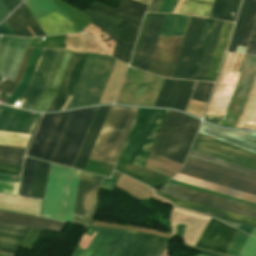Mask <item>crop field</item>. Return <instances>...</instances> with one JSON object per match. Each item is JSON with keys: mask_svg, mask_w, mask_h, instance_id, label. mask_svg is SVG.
Returning a JSON list of instances; mask_svg holds the SVG:
<instances>
[{"mask_svg": "<svg viewBox=\"0 0 256 256\" xmlns=\"http://www.w3.org/2000/svg\"><path fill=\"white\" fill-rule=\"evenodd\" d=\"M239 4L240 0H215L210 17L234 21Z\"/></svg>", "mask_w": 256, "mask_h": 256, "instance_id": "40", "label": "crop field"}, {"mask_svg": "<svg viewBox=\"0 0 256 256\" xmlns=\"http://www.w3.org/2000/svg\"><path fill=\"white\" fill-rule=\"evenodd\" d=\"M116 183V181L113 180H109V179H104L103 183H102V188H106L111 190L112 186Z\"/></svg>", "mask_w": 256, "mask_h": 256, "instance_id": "54", "label": "crop field"}, {"mask_svg": "<svg viewBox=\"0 0 256 256\" xmlns=\"http://www.w3.org/2000/svg\"><path fill=\"white\" fill-rule=\"evenodd\" d=\"M30 228L0 223V254L14 256Z\"/></svg>", "mask_w": 256, "mask_h": 256, "instance_id": "30", "label": "crop field"}, {"mask_svg": "<svg viewBox=\"0 0 256 256\" xmlns=\"http://www.w3.org/2000/svg\"><path fill=\"white\" fill-rule=\"evenodd\" d=\"M205 20L202 18H190L172 78H188Z\"/></svg>", "mask_w": 256, "mask_h": 256, "instance_id": "19", "label": "crop field"}, {"mask_svg": "<svg viewBox=\"0 0 256 256\" xmlns=\"http://www.w3.org/2000/svg\"><path fill=\"white\" fill-rule=\"evenodd\" d=\"M39 115L31 112L0 108V131L31 134Z\"/></svg>", "mask_w": 256, "mask_h": 256, "instance_id": "24", "label": "crop field"}, {"mask_svg": "<svg viewBox=\"0 0 256 256\" xmlns=\"http://www.w3.org/2000/svg\"><path fill=\"white\" fill-rule=\"evenodd\" d=\"M4 176H6V175H0V180H6V181H14V182H18V179H19V177H18V179H17V180L4 179ZM14 177H15V176H14Z\"/></svg>", "mask_w": 256, "mask_h": 256, "instance_id": "58", "label": "crop field"}, {"mask_svg": "<svg viewBox=\"0 0 256 256\" xmlns=\"http://www.w3.org/2000/svg\"><path fill=\"white\" fill-rule=\"evenodd\" d=\"M138 1H141L143 3H146V4H149L150 0H138Z\"/></svg>", "mask_w": 256, "mask_h": 256, "instance_id": "60", "label": "crop field"}, {"mask_svg": "<svg viewBox=\"0 0 256 256\" xmlns=\"http://www.w3.org/2000/svg\"><path fill=\"white\" fill-rule=\"evenodd\" d=\"M188 18L181 15H166L160 34L183 35Z\"/></svg>", "mask_w": 256, "mask_h": 256, "instance_id": "42", "label": "crop field"}, {"mask_svg": "<svg viewBox=\"0 0 256 256\" xmlns=\"http://www.w3.org/2000/svg\"><path fill=\"white\" fill-rule=\"evenodd\" d=\"M188 157L256 179V172L254 171L248 170L246 168H243V167H240V166L192 151V150L190 151V154Z\"/></svg>", "mask_w": 256, "mask_h": 256, "instance_id": "39", "label": "crop field"}, {"mask_svg": "<svg viewBox=\"0 0 256 256\" xmlns=\"http://www.w3.org/2000/svg\"><path fill=\"white\" fill-rule=\"evenodd\" d=\"M156 193L159 196L170 200L172 203H174V204H176L180 207L186 208V209H190V210H193V211H196V212H200V213H203V214H206V215H210V216H214V217H218V218H222V219H226V220H231V221H235V222H239V223H244V224L256 226V219L255 218H251V217L231 213V212H228V211H224V210L204 206V205H201V204H197V203H193V202L173 198V197H170V196H168L166 194H163L159 191H156Z\"/></svg>", "mask_w": 256, "mask_h": 256, "instance_id": "28", "label": "crop field"}, {"mask_svg": "<svg viewBox=\"0 0 256 256\" xmlns=\"http://www.w3.org/2000/svg\"><path fill=\"white\" fill-rule=\"evenodd\" d=\"M246 53L256 54V23Z\"/></svg>", "mask_w": 256, "mask_h": 256, "instance_id": "50", "label": "crop field"}, {"mask_svg": "<svg viewBox=\"0 0 256 256\" xmlns=\"http://www.w3.org/2000/svg\"><path fill=\"white\" fill-rule=\"evenodd\" d=\"M25 149L15 147L0 146V163L9 165H22V154ZM0 173L10 175H20L21 167L1 165Z\"/></svg>", "mask_w": 256, "mask_h": 256, "instance_id": "33", "label": "crop field"}, {"mask_svg": "<svg viewBox=\"0 0 256 256\" xmlns=\"http://www.w3.org/2000/svg\"><path fill=\"white\" fill-rule=\"evenodd\" d=\"M213 86V83L197 82L191 98L206 102Z\"/></svg>", "mask_w": 256, "mask_h": 256, "instance_id": "46", "label": "crop field"}, {"mask_svg": "<svg viewBox=\"0 0 256 256\" xmlns=\"http://www.w3.org/2000/svg\"><path fill=\"white\" fill-rule=\"evenodd\" d=\"M114 59L89 53L76 90L65 109L98 104Z\"/></svg>", "mask_w": 256, "mask_h": 256, "instance_id": "7", "label": "crop field"}, {"mask_svg": "<svg viewBox=\"0 0 256 256\" xmlns=\"http://www.w3.org/2000/svg\"><path fill=\"white\" fill-rule=\"evenodd\" d=\"M240 256H256V239L249 237Z\"/></svg>", "mask_w": 256, "mask_h": 256, "instance_id": "48", "label": "crop field"}, {"mask_svg": "<svg viewBox=\"0 0 256 256\" xmlns=\"http://www.w3.org/2000/svg\"><path fill=\"white\" fill-rule=\"evenodd\" d=\"M239 229L249 234L250 231H251V229H252V227H251V226H247V225L241 224V226H240Z\"/></svg>", "mask_w": 256, "mask_h": 256, "instance_id": "57", "label": "crop field"}, {"mask_svg": "<svg viewBox=\"0 0 256 256\" xmlns=\"http://www.w3.org/2000/svg\"><path fill=\"white\" fill-rule=\"evenodd\" d=\"M9 12L20 2L19 0H2Z\"/></svg>", "mask_w": 256, "mask_h": 256, "instance_id": "53", "label": "crop field"}, {"mask_svg": "<svg viewBox=\"0 0 256 256\" xmlns=\"http://www.w3.org/2000/svg\"><path fill=\"white\" fill-rule=\"evenodd\" d=\"M198 136V135H197ZM197 138V137H196ZM196 140V139H195ZM193 150L256 171V155L199 134Z\"/></svg>", "mask_w": 256, "mask_h": 256, "instance_id": "15", "label": "crop field"}, {"mask_svg": "<svg viewBox=\"0 0 256 256\" xmlns=\"http://www.w3.org/2000/svg\"><path fill=\"white\" fill-rule=\"evenodd\" d=\"M163 79L130 67L116 103L153 106Z\"/></svg>", "mask_w": 256, "mask_h": 256, "instance_id": "10", "label": "crop field"}, {"mask_svg": "<svg viewBox=\"0 0 256 256\" xmlns=\"http://www.w3.org/2000/svg\"><path fill=\"white\" fill-rule=\"evenodd\" d=\"M233 24L223 23L206 81L215 82Z\"/></svg>", "mask_w": 256, "mask_h": 256, "instance_id": "34", "label": "crop field"}, {"mask_svg": "<svg viewBox=\"0 0 256 256\" xmlns=\"http://www.w3.org/2000/svg\"><path fill=\"white\" fill-rule=\"evenodd\" d=\"M163 187L168 188V189L173 190V191H176V192L186 194V195H190V196H194V197H198V198H202V199H206V200H210V201H214V202H218V203H222V204H226V205H230V206L238 207V208H241V209L256 212V207H254V206L246 205V204H243V203H239V202L232 201V200H229V199H225V198H222V197L214 196V195L207 194V193H204V192H200V191H197V190H193V189H190V188L182 187V186L175 185V184H172V183L166 182ZM163 187L160 188L159 191H161L163 193H166L170 196L185 199V200H189V201H193V202H197V203H201V204H204V205H208V206H212V207H216V208H220V209H224V210H228V211H232V212H235V213H239V214H243V215H247V216H251V217L256 218V213L241 210V209H237V208H234V207H230V206H226V205H222V204H218V203H214V202H210V201H206V200H202V199H198V198H194V197H190V196H186V195H183V194H180V193H176V192L167 190Z\"/></svg>", "mask_w": 256, "mask_h": 256, "instance_id": "16", "label": "crop field"}, {"mask_svg": "<svg viewBox=\"0 0 256 256\" xmlns=\"http://www.w3.org/2000/svg\"><path fill=\"white\" fill-rule=\"evenodd\" d=\"M178 0H164L158 12L172 13Z\"/></svg>", "mask_w": 256, "mask_h": 256, "instance_id": "49", "label": "crop field"}, {"mask_svg": "<svg viewBox=\"0 0 256 256\" xmlns=\"http://www.w3.org/2000/svg\"><path fill=\"white\" fill-rule=\"evenodd\" d=\"M213 0H184L178 13L208 17Z\"/></svg>", "mask_w": 256, "mask_h": 256, "instance_id": "41", "label": "crop field"}, {"mask_svg": "<svg viewBox=\"0 0 256 256\" xmlns=\"http://www.w3.org/2000/svg\"><path fill=\"white\" fill-rule=\"evenodd\" d=\"M71 112L43 114L26 155L51 161Z\"/></svg>", "mask_w": 256, "mask_h": 256, "instance_id": "9", "label": "crop field"}, {"mask_svg": "<svg viewBox=\"0 0 256 256\" xmlns=\"http://www.w3.org/2000/svg\"><path fill=\"white\" fill-rule=\"evenodd\" d=\"M61 49L43 48L31 77L30 83L21 96L27 100L22 107L31 109L45 90Z\"/></svg>", "mask_w": 256, "mask_h": 256, "instance_id": "14", "label": "crop field"}, {"mask_svg": "<svg viewBox=\"0 0 256 256\" xmlns=\"http://www.w3.org/2000/svg\"><path fill=\"white\" fill-rule=\"evenodd\" d=\"M109 107L110 106H101L97 108L78 157L73 166L74 168L82 170L84 169Z\"/></svg>", "mask_w": 256, "mask_h": 256, "instance_id": "29", "label": "crop field"}, {"mask_svg": "<svg viewBox=\"0 0 256 256\" xmlns=\"http://www.w3.org/2000/svg\"><path fill=\"white\" fill-rule=\"evenodd\" d=\"M165 15H151L135 68L148 70Z\"/></svg>", "mask_w": 256, "mask_h": 256, "instance_id": "26", "label": "crop field"}, {"mask_svg": "<svg viewBox=\"0 0 256 256\" xmlns=\"http://www.w3.org/2000/svg\"><path fill=\"white\" fill-rule=\"evenodd\" d=\"M32 49L33 48H30V47L26 48L24 56L22 58V61L20 63V66L18 68V71H17V74L15 76V79H14L13 83H11V82H9L7 80L1 82L0 83V91H4V92L12 94V92L17 87V85H18V83L20 81V78H21L22 73L24 71V68H25V66L27 64V61L29 59V56L31 54Z\"/></svg>", "mask_w": 256, "mask_h": 256, "instance_id": "45", "label": "crop field"}, {"mask_svg": "<svg viewBox=\"0 0 256 256\" xmlns=\"http://www.w3.org/2000/svg\"><path fill=\"white\" fill-rule=\"evenodd\" d=\"M223 22L216 21L197 80L204 81Z\"/></svg>", "mask_w": 256, "mask_h": 256, "instance_id": "44", "label": "crop field"}, {"mask_svg": "<svg viewBox=\"0 0 256 256\" xmlns=\"http://www.w3.org/2000/svg\"><path fill=\"white\" fill-rule=\"evenodd\" d=\"M149 16L150 15H148V14L146 15L145 22H144V25H143V28H142V31H141V35H140V38H139V41H138V44H137V48H136L131 66H134V63H135V60H136V57H137V53H138V50H139V47H140V44H141V41H142V38H143V35H144V32H145V29H146V25H147Z\"/></svg>", "mask_w": 256, "mask_h": 256, "instance_id": "51", "label": "crop field"}, {"mask_svg": "<svg viewBox=\"0 0 256 256\" xmlns=\"http://www.w3.org/2000/svg\"><path fill=\"white\" fill-rule=\"evenodd\" d=\"M256 67V56H244L238 81L224 116L222 126L234 127L249 89L254 70Z\"/></svg>", "mask_w": 256, "mask_h": 256, "instance_id": "17", "label": "crop field"}, {"mask_svg": "<svg viewBox=\"0 0 256 256\" xmlns=\"http://www.w3.org/2000/svg\"><path fill=\"white\" fill-rule=\"evenodd\" d=\"M231 55L230 53L227 54L217 87L206 114L223 115L225 112L238 77V73L227 71ZM222 117L206 115L204 119L220 125Z\"/></svg>", "mask_w": 256, "mask_h": 256, "instance_id": "18", "label": "crop field"}, {"mask_svg": "<svg viewBox=\"0 0 256 256\" xmlns=\"http://www.w3.org/2000/svg\"><path fill=\"white\" fill-rule=\"evenodd\" d=\"M0 222L61 232L63 223L21 214L0 212Z\"/></svg>", "mask_w": 256, "mask_h": 256, "instance_id": "31", "label": "crop field"}, {"mask_svg": "<svg viewBox=\"0 0 256 256\" xmlns=\"http://www.w3.org/2000/svg\"><path fill=\"white\" fill-rule=\"evenodd\" d=\"M163 0H155L153 5L151 6L149 12H157Z\"/></svg>", "mask_w": 256, "mask_h": 256, "instance_id": "56", "label": "crop field"}, {"mask_svg": "<svg viewBox=\"0 0 256 256\" xmlns=\"http://www.w3.org/2000/svg\"><path fill=\"white\" fill-rule=\"evenodd\" d=\"M72 256H122L136 232L87 227ZM168 238L137 232L123 256H160ZM167 249L161 256H168Z\"/></svg>", "mask_w": 256, "mask_h": 256, "instance_id": "1", "label": "crop field"}, {"mask_svg": "<svg viewBox=\"0 0 256 256\" xmlns=\"http://www.w3.org/2000/svg\"><path fill=\"white\" fill-rule=\"evenodd\" d=\"M199 124V120L169 111L151 152L183 164Z\"/></svg>", "mask_w": 256, "mask_h": 256, "instance_id": "3", "label": "crop field"}, {"mask_svg": "<svg viewBox=\"0 0 256 256\" xmlns=\"http://www.w3.org/2000/svg\"><path fill=\"white\" fill-rule=\"evenodd\" d=\"M137 109L110 107L89 159L115 164Z\"/></svg>", "mask_w": 256, "mask_h": 256, "instance_id": "5", "label": "crop field"}, {"mask_svg": "<svg viewBox=\"0 0 256 256\" xmlns=\"http://www.w3.org/2000/svg\"><path fill=\"white\" fill-rule=\"evenodd\" d=\"M236 229L210 218L196 246L226 252Z\"/></svg>", "mask_w": 256, "mask_h": 256, "instance_id": "23", "label": "crop field"}, {"mask_svg": "<svg viewBox=\"0 0 256 256\" xmlns=\"http://www.w3.org/2000/svg\"><path fill=\"white\" fill-rule=\"evenodd\" d=\"M165 111L139 109L118 159L142 167Z\"/></svg>", "mask_w": 256, "mask_h": 256, "instance_id": "6", "label": "crop field"}, {"mask_svg": "<svg viewBox=\"0 0 256 256\" xmlns=\"http://www.w3.org/2000/svg\"><path fill=\"white\" fill-rule=\"evenodd\" d=\"M95 108L72 112L53 162L72 166Z\"/></svg>", "mask_w": 256, "mask_h": 256, "instance_id": "11", "label": "crop field"}, {"mask_svg": "<svg viewBox=\"0 0 256 256\" xmlns=\"http://www.w3.org/2000/svg\"><path fill=\"white\" fill-rule=\"evenodd\" d=\"M214 22L215 21H213V20H209V19L206 20L205 27H204V30H203V33H202V36L200 39V43H199V46H198V49H197V52L195 55V59H194L188 79H192V80L197 79L199 69H200L204 54H205V50H206V47H207V44H208V41H209V38H210V35L212 32Z\"/></svg>", "mask_w": 256, "mask_h": 256, "instance_id": "38", "label": "crop field"}, {"mask_svg": "<svg viewBox=\"0 0 256 256\" xmlns=\"http://www.w3.org/2000/svg\"><path fill=\"white\" fill-rule=\"evenodd\" d=\"M146 7V5L132 0H119V6L117 9L97 2L89 6V8L107 13L126 21L120 30L112 55L113 57L127 63L129 62Z\"/></svg>", "mask_w": 256, "mask_h": 256, "instance_id": "8", "label": "crop field"}, {"mask_svg": "<svg viewBox=\"0 0 256 256\" xmlns=\"http://www.w3.org/2000/svg\"><path fill=\"white\" fill-rule=\"evenodd\" d=\"M69 52L62 51L49 86L37 104L34 106V110L45 111L49 102L53 98L56 89L58 87L60 78L62 76L63 70L65 68L67 59L69 57ZM87 57L86 53L70 54L66 68L64 70L63 76L61 78L57 92L52 99L51 103L47 107L46 111H57L61 110L65 101L69 95H72L77 84L78 78L80 76L81 70L83 68L85 59ZM72 96H69L62 110L69 102Z\"/></svg>", "mask_w": 256, "mask_h": 256, "instance_id": "4", "label": "crop field"}, {"mask_svg": "<svg viewBox=\"0 0 256 256\" xmlns=\"http://www.w3.org/2000/svg\"><path fill=\"white\" fill-rule=\"evenodd\" d=\"M102 179V177L81 172L72 223L93 225Z\"/></svg>", "mask_w": 256, "mask_h": 256, "instance_id": "13", "label": "crop field"}, {"mask_svg": "<svg viewBox=\"0 0 256 256\" xmlns=\"http://www.w3.org/2000/svg\"><path fill=\"white\" fill-rule=\"evenodd\" d=\"M251 235L255 236L256 237V228H253L252 232H251Z\"/></svg>", "mask_w": 256, "mask_h": 256, "instance_id": "59", "label": "crop field"}, {"mask_svg": "<svg viewBox=\"0 0 256 256\" xmlns=\"http://www.w3.org/2000/svg\"><path fill=\"white\" fill-rule=\"evenodd\" d=\"M254 142H256V139L254 140Z\"/></svg>", "mask_w": 256, "mask_h": 256, "instance_id": "62", "label": "crop field"}, {"mask_svg": "<svg viewBox=\"0 0 256 256\" xmlns=\"http://www.w3.org/2000/svg\"><path fill=\"white\" fill-rule=\"evenodd\" d=\"M247 238H248V235H246L240 231H237L227 253L239 256Z\"/></svg>", "mask_w": 256, "mask_h": 256, "instance_id": "47", "label": "crop field"}, {"mask_svg": "<svg viewBox=\"0 0 256 256\" xmlns=\"http://www.w3.org/2000/svg\"><path fill=\"white\" fill-rule=\"evenodd\" d=\"M179 173L256 195V180L189 158Z\"/></svg>", "mask_w": 256, "mask_h": 256, "instance_id": "12", "label": "crop field"}, {"mask_svg": "<svg viewBox=\"0 0 256 256\" xmlns=\"http://www.w3.org/2000/svg\"><path fill=\"white\" fill-rule=\"evenodd\" d=\"M199 132L256 153V143L244 139L253 141L256 138V133L221 130L204 123L201 124Z\"/></svg>", "mask_w": 256, "mask_h": 256, "instance_id": "27", "label": "crop field"}, {"mask_svg": "<svg viewBox=\"0 0 256 256\" xmlns=\"http://www.w3.org/2000/svg\"><path fill=\"white\" fill-rule=\"evenodd\" d=\"M193 82L165 78L154 106L171 107L184 111L193 91L191 90Z\"/></svg>", "mask_w": 256, "mask_h": 256, "instance_id": "21", "label": "crop field"}, {"mask_svg": "<svg viewBox=\"0 0 256 256\" xmlns=\"http://www.w3.org/2000/svg\"><path fill=\"white\" fill-rule=\"evenodd\" d=\"M23 3L35 20L56 11L67 19L72 29H75V23L72 19L66 13L57 8L52 0H26Z\"/></svg>", "mask_w": 256, "mask_h": 256, "instance_id": "36", "label": "crop field"}, {"mask_svg": "<svg viewBox=\"0 0 256 256\" xmlns=\"http://www.w3.org/2000/svg\"><path fill=\"white\" fill-rule=\"evenodd\" d=\"M79 174L51 164L41 216L71 223Z\"/></svg>", "mask_w": 256, "mask_h": 256, "instance_id": "2", "label": "crop field"}, {"mask_svg": "<svg viewBox=\"0 0 256 256\" xmlns=\"http://www.w3.org/2000/svg\"><path fill=\"white\" fill-rule=\"evenodd\" d=\"M85 14L93 18L92 24L101 30L105 31L114 41L118 34L119 27L122 25L123 20L101 14L86 8L83 10ZM125 22V21H124Z\"/></svg>", "mask_w": 256, "mask_h": 256, "instance_id": "37", "label": "crop field"}, {"mask_svg": "<svg viewBox=\"0 0 256 256\" xmlns=\"http://www.w3.org/2000/svg\"><path fill=\"white\" fill-rule=\"evenodd\" d=\"M16 35L32 37L24 23H27L36 36L45 35L23 3L6 20ZM14 33V34H15Z\"/></svg>", "mask_w": 256, "mask_h": 256, "instance_id": "32", "label": "crop field"}, {"mask_svg": "<svg viewBox=\"0 0 256 256\" xmlns=\"http://www.w3.org/2000/svg\"><path fill=\"white\" fill-rule=\"evenodd\" d=\"M41 49L42 48H38V47L34 48L31 58L29 60L28 66H27L24 76L22 78V81H21L19 87L16 89V91L13 93V95L7 101L8 104L14 105V103L17 101V99L20 97V95L26 89V87L29 83L30 77L32 75V72L34 70L35 64L37 62V59L39 57Z\"/></svg>", "mask_w": 256, "mask_h": 256, "instance_id": "43", "label": "crop field"}, {"mask_svg": "<svg viewBox=\"0 0 256 256\" xmlns=\"http://www.w3.org/2000/svg\"><path fill=\"white\" fill-rule=\"evenodd\" d=\"M173 179H177V180H180V181H183V182H187V183H190V184H193V185H197V186H200V187H203V188H207V189H210V190H213V191H217V192H220V193H223V194H227V195H230V196H233V197H237V198H240V199H243V200H247V201L256 203V196L249 195V194H246V193H243V192H239V191H236V190H233V189H229V188H226V187H223V186H219V185H216V184H213V183H209V182H206V181H203V180H199V179H196V178H193V177H189V176H186V175H183V174L178 173L175 177H173Z\"/></svg>", "mask_w": 256, "mask_h": 256, "instance_id": "35", "label": "crop field"}, {"mask_svg": "<svg viewBox=\"0 0 256 256\" xmlns=\"http://www.w3.org/2000/svg\"><path fill=\"white\" fill-rule=\"evenodd\" d=\"M187 248H190V249H193L195 251H198V252H201V253H204V254H207V255H210V256H229V255H223V254H219V253H216V252H212V251H209V250H205V249H200L198 247H192V246H186Z\"/></svg>", "mask_w": 256, "mask_h": 256, "instance_id": "52", "label": "crop field"}, {"mask_svg": "<svg viewBox=\"0 0 256 256\" xmlns=\"http://www.w3.org/2000/svg\"><path fill=\"white\" fill-rule=\"evenodd\" d=\"M29 38L1 36L0 75L13 81Z\"/></svg>", "mask_w": 256, "mask_h": 256, "instance_id": "20", "label": "crop field"}, {"mask_svg": "<svg viewBox=\"0 0 256 256\" xmlns=\"http://www.w3.org/2000/svg\"><path fill=\"white\" fill-rule=\"evenodd\" d=\"M197 256H203V255H197Z\"/></svg>", "mask_w": 256, "mask_h": 256, "instance_id": "61", "label": "crop field"}, {"mask_svg": "<svg viewBox=\"0 0 256 256\" xmlns=\"http://www.w3.org/2000/svg\"><path fill=\"white\" fill-rule=\"evenodd\" d=\"M256 15V0H244L228 51L235 52L237 45L246 47Z\"/></svg>", "mask_w": 256, "mask_h": 256, "instance_id": "25", "label": "crop field"}, {"mask_svg": "<svg viewBox=\"0 0 256 256\" xmlns=\"http://www.w3.org/2000/svg\"><path fill=\"white\" fill-rule=\"evenodd\" d=\"M8 10L4 6L3 2L0 0V21L8 14Z\"/></svg>", "mask_w": 256, "mask_h": 256, "instance_id": "55", "label": "crop field"}, {"mask_svg": "<svg viewBox=\"0 0 256 256\" xmlns=\"http://www.w3.org/2000/svg\"><path fill=\"white\" fill-rule=\"evenodd\" d=\"M49 166L27 158L20 195L43 199Z\"/></svg>", "mask_w": 256, "mask_h": 256, "instance_id": "22", "label": "crop field"}]
</instances>
